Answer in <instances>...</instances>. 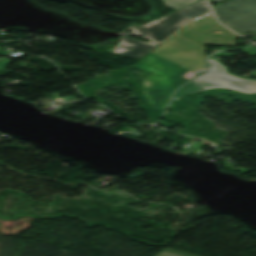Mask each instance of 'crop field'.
<instances>
[{
    "label": "crop field",
    "instance_id": "3316defc",
    "mask_svg": "<svg viewBox=\"0 0 256 256\" xmlns=\"http://www.w3.org/2000/svg\"><path fill=\"white\" fill-rule=\"evenodd\" d=\"M246 52L252 53L254 55H256V48L255 47H251V48H245L243 49Z\"/></svg>",
    "mask_w": 256,
    "mask_h": 256
},
{
    "label": "crop field",
    "instance_id": "dd49c442",
    "mask_svg": "<svg viewBox=\"0 0 256 256\" xmlns=\"http://www.w3.org/2000/svg\"><path fill=\"white\" fill-rule=\"evenodd\" d=\"M156 45L158 44L152 41L145 44L141 41L121 36L119 45L109 52L139 59Z\"/></svg>",
    "mask_w": 256,
    "mask_h": 256
},
{
    "label": "crop field",
    "instance_id": "d1516ede",
    "mask_svg": "<svg viewBox=\"0 0 256 256\" xmlns=\"http://www.w3.org/2000/svg\"><path fill=\"white\" fill-rule=\"evenodd\" d=\"M217 55H232V56H235V55H233V54L221 52V53H216V54H214V55H212V56H210V57L213 58V57H215V56H217Z\"/></svg>",
    "mask_w": 256,
    "mask_h": 256
},
{
    "label": "crop field",
    "instance_id": "34b2d1b8",
    "mask_svg": "<svg viewBox=\"0 0 256 256\" xmlns=\"http://www.w3.org/2000/svg\"><path fill=\"white\" fill-rule=\"evenodd\" d=\"M211 87H227L247 93L256 92V81L244 80L226 73L225 67L217 61L208 59V72L182 88L178 89L173 99L176 100L186 93L196 92Z\"/></svg>",
    "mask_w": 256,
    "mask_h": 256
},
{
    "label": "crop field",
    "instance_id": "d8731c3e",
    "mask_svg": "<svg viewBox=\"0 0 256 256\" xmlns=\"http://www.w3.org/2000/svg\"><path fill=\"white\" fill-rule=\"evenodd\" d=\"M154 256H193V255H189L186 253H182V252L164 248L162 251H160L158 254H156Z\"/></svg>",
    "mask_w": 256,
    "mask_h": 256
},
{
    "label": "crop field",
    "instance_id": "8a807250",
    "mask_svg": "<svg viewBox=\"0 0 256 256\" xmlns=\"http://www.w3.org/2000/svg\"><path fill=\"white\" fill-rule=\"evenodd\" d=\"M203 62V45L174 35L135 64L146 71L145 98L154 108L163 109L169 94L202 69Z\"/></svg>",
    "mask_w": 256,
    "mask_h": 256
},
{
    "label": "crop field",
    "instance_id": "ac0d7876",
    "mask_svg": "<svg viewBox=\"0 0 256 256\" xmlns=\"http://www.w3.org/2000/svg\"><path fill=\"white\" fill-rule=\"evenodd\" d=\"M209 11L205 0H200L150 23L141 26L132 24L128 27L145 37L159 42L167 38L189 20Z\"/></svg>",
    "mask_w": 256,
    "mask_h": 256
},
{
    "label": "crop field",
    "instance_id": "28ad6ade",
    "mask_svg": "<svg viewBox=\"0 0 256 256\" xmlns=\"http://www.w3.org/2000/svg\"><path fill=\"white\" fill-rule=\"evenodd\" d=\"M127 134L132 135V136H137V137L141 136L140 132L137 129H135Z\"/></svg>",
    "mask_w": 256,
    "mask_h": 256
},
{
    "label": "crop field",
    "instance_id": "f4fd0767",
    "mask_svg": "<svg viewBox=\"0 0 256 256\" xmlns=\"http://www.w3.org/2000/svg\"><path fill=\"white\" fill-rule=\"evenodd\" d=\"M213 31L215 33H213ZM179 33L193 38L201 43L235 45V35L230 30L216 23L211 15L201 17L186 26Z\"/></svg>",
    "mask_w": 256,
    "mask_h": 256
},
{
    "label": "crop field",
    "instance_id": "e52e79f7",
    "mask_svg": "<svg viewBox=\"0 0 256 256\" xmlns=\"http://www.w3.org/2000/svg\"><path fill=\"white\" fill-rule=\"evenodd\" d=\"M162 1L167 3L166 6H168L169 8L174 10V9L183 7L185 5H188V4L192 3L193 1H198V0H190V1H187V0H162Z\"/></svg>",
    "mask_w": 256,
    "mask_h": 256
},
{
    "label": "crop field",
    "instance_id": "412701ff",
    "mask_svg": "<svg viewBox=\"0 0 256 256\" xmlns=\"http://www.w3.org/2000/svg\"><path fill=\"white\" fill-rule=\"evenodd\" d=\"M214 11L224 25L240 34L256 31V0L228 1Z\"/></svg>",
    "mask_w": 256,
    "mask_h": 256
},
{
    "label": "crop field",
    "instance_id": "5a996713",
    "mask_svg": "<svg viewBox=\"0 0 256 256\" xmlns=\"http://www.w3.org/2000/svg\"><path fill=\"white\" fill-rule=\"evenodd\" d=\"M191 145H192V144H191ZM205 145H208V144H204V143L198 142V143H196V144L190 146V148H194V150L188 151V153H191V154H200L202 151H200V150H198V149H199V148H202V147L205 146ZM209 146H210V145H209ZM212 147H213V146H212ZM214 148H215V147H214ZM216 149H217L218 151L213 152V153L221 152L220 149H218V148H216Z\"/></svg>",
    "mask_w": 256,
    "mask_h": 256
}]
</instances>
